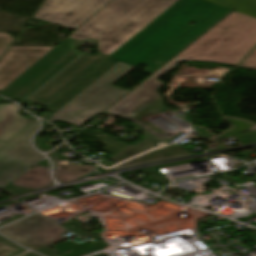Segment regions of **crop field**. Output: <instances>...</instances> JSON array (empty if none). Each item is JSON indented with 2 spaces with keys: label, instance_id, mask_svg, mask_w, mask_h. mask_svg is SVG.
<instances>
[{
  "label": "crop field",
  "instance_id": "obj_1",
  "mask_svg": "<svg viewBox=\"0 0 256 256\" xmlns=\"http://www.w3.org/2000/svg\"><path fill=\"white\" fill-rule=\"evenodd\" d=\"M230 12L203 0H180L49 104L46 110L55 114L47 120L80 127L129 92L112 85L137 65L154 72ZM189 22L195 24L189 26Z\"/></svg>",
  "mask_w": 256,
  "mask_h": 256
},
{
  "label": "crop field",
  "instance_id": "obj_2",
  "mask_svg": "<svg viewBox=\"0 0 256 256\" xmlns=\"http://www.w3.org/2000/svg\"><path fill=\"white\" fill-rule=\"evenodd\" d=\"M177 0H113L60 45L0 92L21 101L80 54L74 47L97 40L98 54L81 55L27 100L47 106Z\"/></svg>",
  "mask_w": 256,
  "mask_h": 256
},
{
  "label": "crop field",
  "instance_id": "obj_3",
  "mask_svg": "<svg viewBox=\"0 0 256 256\" xmlns=\"http://www.w3.org/2000/svg\"><path fill=\"white\" fill-rule=\"evenodd\" d=\"M255 44L256 19L234 12L106 112L134 122L146 138L168 144L178 135L170 140L164 139L163 132L142 120L165 108L157 93L164 83L156 78L176 64L189 60L237 65Z\"/></svg>",
  "mask_w": 256,
  "mask_h": 256
},
{
  "label": "crop field",
  "instance_id": "obj_4",
  "mask_svg": "<svg viewBox=\"0 0 256 256\" xmlns=\"http://www.w3.org/2000/svg\"><path fill=\"white\" fill-rule=\"evenodd\" d=\"M36 127V120L30 121L0 146V187L43 157L28 144Z\"/></svg>",
  "mask_w": 256,
  "mask_h": 256
},
{
  "label": "crop field",
  "instance_id": "obj_5",
  "mask_svg": "<svg viewBox=\"0 0 256 256\" xmlns=\"http://www.w3.org/2000/svg\"><path fill=\"white\" fill-rule=\"evenodd\" d=\"M110 0H46L35 18L76 29Z\"/></svg>",
  "mask_w": 256,
  "mask_h": 256
},
{
  "label": "crop field",
  "instance_id": "obj_6",
  "mask_svg": "<svg viewBox=\"0 0 256 256\" xmlns=\"http://www.w3.org/2000/svg\"><path fill=\"white\" fill-rule=\"evenodd\" d=\"M0 232L23 245H49L64 239L59 234L67 231L35 214Z\"/></svg>",
  "mask_w": 256,
  "mask_h": 256
},
{
  "label": "crop field",
  "instance_id": "obj_7",
  "mask_svg": "<svg viewBox=\"0 0 256 256\" xmlns=\"http://www.w3.org/2000/svg\"><path fill=\"white\" fill-rule=\"evenodd\" d=\"M54 47L10 46L0 60V90Z\"/></svg>",
  "mask_w": 256,
  "mask_h": 256
},
{
  "label": "crop field",
  "instance_id": "obj_8",
  "mask_svg": "<svg viewBox=\"0 0 256 256\" xmlns=\"http://www.w3.org/2000/svg\"><path fill=\"white\" fill-rule=\"evenodd\" d=\"M226 121L230 123L233 127L213 139V145L211 147L212 150L224 148V142L230 137H233L237 142L242 145L246 143L256 142V129L250 130L256 125L250 122L229 118H226Z\"/></svg>",
  "mask_w": 256,
  "mask_h": 256
},
{
  "label": "crop field",
  "instance_id": "obj_9",
  "mask_svg": "<svg viewBox=\"0 0 256 256\" xmlns=\"http://www.w3.org/2000/svg\"><path fill=\"white\" fill-rule=\"evenodd\" d=\"M19 110L15 104L0 105V140L5 141L30 121L18 114Z\"/></svg>",
  "mask_w": 256,
  "mask_h": 256
},
{
  "label": "crop field",
  "instance_id": "obj_10",
  "mask_svg": "<svg viewBox=\"0 0 256 256\" xmlns=\"http://www.w3.org/2000/svg\"><path fill=\"white\" fill-rule=\"evenodd\" d=\"M188 155H193V153L185 151L184 147L182 146L171 145L163 149L157 150L155 152L127 161L125 163L116 165L111 168L112 169L126 168V167H131V166H135V165H139L147 162L177 158V157L188 156Z\"/></svg>",
  "mask_w": 256,
  "mask_h": 256
},
{
  "label": "crop field",
  "instance_id": "obj_11",
  "mask_svg": "<svg viewBox=\"0 0 256 256\" xmlns=\"http://www.w3.org/2000/svg\"><path fill=\"white\" fill-rule=\"evenodd\" d=\"M49 168L41 167V168H33L29 170L27 173H23L24 175H20L21 177L13 180V184L26 188H42L50 186L49 179ZM21 183V185H19Z\"/></svg>",
  "mask_w": 256,
  "mask_h": 256
},
{
  "label": "crop field",
  "instance_id": "obj_12",
  "mask_svg": "<svg viewBox=\"0 0 256 256\" xmlns=\"http://www.w3.org/2000/svg\"><path fill=\"white\" fill-rule=\"evenodd\" d=\"M55 165L54 174L58 180L63 182L76 180L95 168L94 165H69L63 163H55Z\"/></svg>",
  "mask_w": 256,
  "mask_h": 256
},
{
  "label": "crop field",
  "instance_id": "obj_13",
  "mask_svg": "<svg viewBox=\"0 0 256 256\" xmlns=\"http://www.w3.org/2000/svg\"><path fill=\"white\" fill-rule=\"evenodd\" d=\"M154 142H156V141H152V140L144 138L143 140H141L134 146L126 145L122 150L120 149L121 151L119 150L120 152H118L117 154L115 153L116 155H114L112 158H110V160L116 161L113 164V165H115V164H118L125 160L136 157L138 155L149 152L151 150L157 149V148L153 147Z\"/></svg>",
  "mask_w": 256,
  "mask_h": 256
},
{
  "label": "crop field",
  "instance_id": "obj_14",
  "mask_svg": "<svg viewBox=\"0 0 256 256\" xmlns=\"http://www.w3.org/2000/svg\"><path fill=\"white\" fill-rule=\"evenodd\" d=\"M207 1L256 17V0H207Z\"/></svg>",
  "mask_w": 256,
  "mask_h": 256
},
{
  "label": "crop field",
  "instance_id": "obj_15",
  "mask_svg": "<svg viewBox=\"0 0 256 256\" xmlns=\"http://www.w3.org/2000/svg\"><path fill=\"white\" fill-rule=\"evenodd\" d=\"M14 39L7 33H0V57Z\"/></svg>",
  "mask_w": 256,
  "mask_h": 256
},
{
  "label": "crop field",
  "instance_id": "obj_16",
  "mask_svg": "<svg viewBox=\"0 0 256 256\" xmlns=\"http://www.w3.org/2000/svg\"><path fill=\"white\" fill-rule=\"evenodd\" d=\"M241 68L256 69V49L239 66Z\"/></svg>",
  "mask_w": 256,
  "mask_h": 256
},
{
  "label": "crop field",
  "instance_id": "obj_17",
  "mask_svg": "<svg viewBox=\"0 0 256 256\" xmlns=\"http://www.w3.org/2000/svg\"><path fill=\"white\" fill-rule=\"evenodd\" d=\"M18 252H21V251L16 248L10 247L3 242L0 243V256H10Z\"/></svg>",
  "mask_w": 256,
  "mask_h": 256
},
{
  "label": "crop field",
  "instance_id": "obj_18",
  "mask_svg": "<svg viewBox=\"0 0 256 256\" xmlns=\"http://www.w3.org/2000/svg\"><path fill=\"white\" fill-rule=\"evenodd\" d=\"M2 191L6 192V193H8L12 196H15V195H19V194L29 192V191H32V190H28V189H24V188L9 185L5 189H3Z\"/></svg>",
  "mask_w": 256,
  "mask_h": 256
},
{
  "label": "crop field",
  "instance_id": "obj_19",
  "mask_svg": "<svg viewBox=\"0 0 256 256\" xmlns=\"http://www.w3.org/2000/svg\"><path fill=\"white\" fill-rule=\"evenodd\" d=\"M198 132H199V135L200 137L202 138H209V137H212V133L206 129H202V128H198L196 127Z\"/></svg>",
  "mask_w": 256,
  "mask_h": 256
},
{
  "label": "crop field",
  "instance_id": "obj_20",
  "mask_svg": "<svg viewBox=\"0 0 256 256\" xmlns=\"http://www.w3.org/2000/svg\"><path fill=\"white\" fill-rule=\"evenodd\" d=\"M39 165H44V166L49 167L46 160H41V161L39 162Z\"/></svg>",
  "mask_w": 256,
  "mask_h": 256
},
{
  "label": "crop field",
  "instance_id": "obj_21",
  "mask_svg": "<svg viewBox=\"0 0 256 256\" xmlns=\"http://www.w3.org/2000/svg\"><path fill=\"white\" fill-rule=\"evenodd\" d=\"M3 142L2 141H0V145L2 144Z\"/></svg>",
  "mask_w": 256,
  "mask_h": 256
},
{
  "label": "crop field",
  "instance_id": "obj_22",
  "mask_svg": "<svg viewBox=\"0 0 256 256\" xmlns=\"http://www.w3.org/2000/svg\"><path fill=\"white\" fill-rule=\"evenodd\" d=\"M23 256H29V255L26 254V255H23Z\"/></svg>",
  "mask_w": 256,
  "mask_h": 256
},
{
  "label": "crop field",
  "instance_id": "obj_23",
  "mask_svg": "<svg viewBox=\"0 0 256 256\" xmlns=\"http://www.w3.org/2000/svg\"><path fill=\"white\" fill-rule=\"evenodd\" d=\"M256 149V148H255Z\"/></svg>",
  "mask_w": 256,
  "mask_h": 256
},
{
  "label": "crop field",
  "instance_id": "obj_24",
  "mask_svg": "<svg viewBox=\"0 0 256 256\" xmlns=\"http://www.w3.org/2000/svg\"><path fill=\"white\" fill-rule=\"evenodd\" d=\"M152 152V151H151Z\"/></svg>",
  "mask_w": 256,
  "mask_h": 256
}]
</instances>
